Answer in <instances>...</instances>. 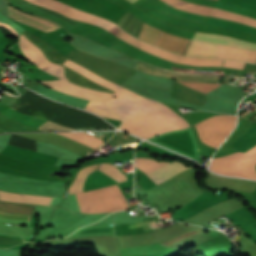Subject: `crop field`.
I'll use <instances>...</instances> for the list:
<instances>
[{"label":"crop field","instance_id":"crop-field-1","mask_svg":"<svg viewBox=\"0 0 256 256\" xmlns=\"http://www.w3.org/2000/svg\"><path fill=\"white\" fill-rule=\"evenodd\" d=\"M0 26H4L5 28L10 30L17 37L20 35L8 24H4V23L0 22ZM64 65L77 71L78 73L86 76L88 79H90L98 84H101V85H103V86H105V87L125 96V97H128L130 99L141 97V96H139L121 86H118L110 81H107V80L93 74L89 70L81 67L80 65H78L68 59L66 60ZM123 96H120V97L106 103L107 107L112 109L114 112H116L118 115H120L123 118V121L133 118V117L143 115L147 112L156 111V110L163 109V108H168L167 106H165L164 104H162L160 102L150 100V99H147L144 97L130 100Z\"/></svg>","mask_w":256,"mask_h":256},{"label":"crop field","instance_id":"crop-field-2","mask_svg":"<svg viewBox=\"0 0 256 256\" xmlns=\"http://www.w3.org/2000/svg\"><path fill=\"white\" fill-rule=\"evenodd\" d=\"M244 153H235L225 157L213 159L210 163V170L221 174L230 175ZM256 146L247 150L231 175L256 179Z\"/></svg>","mask_w":256,"mask_h":256},{"label":"crop field","instance_id":"crop-field-3","mask_svg":"<svg viewBox=\"0 0 256 256\" xmlns=\"http://www.w3.org/2000/svg\"><path fill=\"white\" fill-rule=\"evenodd\" d=\"M199 230H193L187 233H184L166 243H162L164 245L170 244L182 237H185L187 235H190L192 233H195ZM210 239L209 237L205 236L201 232H197L195 234H192L190 236H187L185 238H182L170 245H167L175 250H180L186 246L198 244L202 241ZM162 244H149V245H141V246H133V247H123L119 248L120 256H141V255H148V254H156V253H163V252H171L174 251Z\"/></svg>","mask_w":256,"mask_h":256},{"label":"crop field","instance_id":"crop-field-4","mask_svg":"<svg viewBox=\"0 0 256 256\" xmlns=\"http://www.w3.org/2000/svg\"><path fill=\"white\" fill-rule=\"evenodd\" d=\"M29 2L35 3L37 5L46 7L48 9L57 11L59 13H62L72 19L83 21L89 23L91 19L94 17L93 15L87 14L85 12H82L80 10L71 8L63 3H60L55 0H27ZM93 25L100 26L114 34L115 36H118L120 32V27L117 25L103 19L100 17L95 16L93 20L90 22Z\"/></svg>","mask_w":256,"mask_h":256},{"label":"crop field","instance_id":"crop-field-5","mask_svg":"<svg viewBox=\"0 0 256 256\" xmlns=\"http://www.w3.org/2000/svg\"><path fill=\"white\" fill-rule=\"evenodd\" d=\"M160 32V30L154 27L143 24L139 39L154 45L159 37ZM188 42L189 39L175 37L162 31L155 46L181 55Z\"/></svg>","mask_w":256,"mask_h":256},{"label":"crop field","instance_id":"crop-field-6","mask_svg":"<svg viewBox=\"0 0 256 256\" xmlns=\"http://www.w3.org/2000/svg\"><path fill=\"white\" fill-rule=\"evenodd\" d=\"M121 31H123V30H121ZM123 32L125 34H127L129 37H131V38H133L135 40H138V39L134 38L133 36H131L130 34L126 33L125 31H123ZM123 32L120 33L118 38H120V39H122V40H124V41H126V42H128V43H130V44H132V45H134V46H136L138 48H140V49H143V50H145V51H147L149 53H152V54H154V55H156L158 57H161V58H164V59L176 62V63H182V64H188V65H194V66H220V67L222 66V62L194 61V60H211V61H222V60L176 56V55H173V54H171L169 52H166V51H164V50H162V49H160L158 47L150 45V46H152V47H154L156 49H159V50H161L163 52H166V53H168V54H170L172 56H176V57H180V58H186V59H194V60H186V59H179V58L172 57V56H170L168 54H165V53H163V52H161L159 50H156V49H154L152 47L147 46L149 44L145 45L146 43L143 44L144 42L140 43V42H142L140 40H138V41H140V42H138V41H135V40L129 38Z\"/></svg>","mask_w":256,"mask_h":256},{"label":"crop field","instance_id":"crop-field-7","mask_svg":"<svg viewBox=\"0 0 256 256\" xmlns=\"http://www.w3.org/2000/svg\"><path fill=\"white\" fill-rule=\"evenodd\" d=\"M19 47L25 53L31 63L37 65L40 69L48 73L66 80L63 76V68L48 61L43 53L38 49V47L33 45L27 38L22 35L19 37Z\"/></svg>","mask_w":256,"mask_h":256},{"label":"crop field","instance_id":"crop-field-8","mask_svg":"<svg viewBox=\"0 0 256 256\" xmlns=\"http://www.w3.org/2000/svg\"><path fill=\"white\" fill-rule=\"evenodd\" d=\"M8 17L19 22L28 24L36 29L44 32H50L52 30L58 29L60 26L43 18H38L31 16L28 13L18 11L10 6H8Z\"/></svg>","mask_w":256,"mask_h":256},{"label":"crop field","instance_id":"crop-field-9","mask_svg":"<svg viewBox=\"0 0 256 256\" xmlns=\"http://www.w3.org/2000/svg\"><path fill=\"white\" fill-rule=\"evenodd\" d=\"M81 212H107L96 190L76 194Z\"/></svg>","mask_w":256,"mask_h":256},{"label":"crop field","instance_id":"crop-field-10","mask_svg":"<svg viewBox=\"0 0 256 256\" xmlns=\"http://www.w3.org/2000/svg\"><path fill=\"white\" fill-rule=\"evenodd\" d=\"M192 39L193 40H203V41H207V42H211V43H215V44L233 46V47L246 49V50H256V44L239 41V40L232 39V38L225 37V36L195 32Z\"/></svg>","mask_w":256,"mask_h":256},{"label":"crop field","instance_id":"crop-field-11","mask_svg":"<svg viewBox=\"0 0 256 256\" xmlns=\"http://www.w3.org/2000/svg\"><path fill=\"white\" fill-rule=\"evenodd\" d=\"M140 64L152 67V68H156L153 67L149 64H145V63H141ZM138 64L135 67V70L141 71V72H145V73H149V74H153V75H157V76H163V77H168V78H172V79H178V80H184V81H193V82H203L204 79H211V80H217V77H205V76H189V75H179V74H185V73H179V74H170V73H165L163 71L160 70H164V69H160V68H156V69H160V70H156V69H152L143 65ZM166 72H171V73H178V72H172V71H168V70H164Z\"/></svg>","mask_w":256,"mask_h":256},{"label":"crop field","instance_id":"crop-field-12","mask_svg":"<svg viewBox=\"0 0 256 256\" xmlns=\"http://www.w3.org/2000/svg\"><path fill=\"white\" fill-rule=\"evenodd\" d=\"M185 169H187V167H185L183 164L178 163V162H172V163H169V164L153 171L152 173H150L147 176L150 179H152L156 184H158V183H161V182L169 179L174 174H176L180 171H183Z\"/></svg>","mask_w":256,"mask_h":256},{"label":"crop field","instance_id":"crop-field-13","mask_svg":"<svg viewBox=\"0 0 256 256\" xmlns=\"http://www.w3.org/2000/svg\"><path fill=\"white\" fill-rule=\"evenodd\" d=\"M52 197H41L33 195H24V194H13L0 191V200L1 201H10V202H26V203H37L49 205Z\"/></svg>","mask_w":256,"mask_h":256},{"label":"crop field","instance_id":"crop-field-14","mask_svg":"<svg viewBox=\"0 0 256 256\" xmlns=\"http://www.w3.org/2000/svg\"><path fill=\"white\" fill-rule=\"evenodd\" d=\"M162 1L166 2L167 4L173 6L177 9H181V10L193 12V13H198V14H202V15H206V16H208L210 14V11L212 9V8H208V7L193 5V4L187 3L183 0H162Z\"/></svg>","mask_w":256,"mask_h":256},{"label":"crop field","instance_id":"crop-field-15","mask_svg":"<svg viewBox=\"0 0 256 256\" xmlns=\"http://www.w3.org/2000/svg\"><path fill=\"white\" fill-rule=\"evenodd\" d=\"M65 137L71 138L77 142H80L88 147L97 148L103 141L85 133V132H75V133H57Z\"/></svg>","mask_w":256,"mask_h":256},{"label":"crop field","instance_id":"crop-field-16","mask_svg":"<svg viewBox=\"0 0 256 256\" xmlns=\"http://www.w3.org/2000/svg\"><path fill=\"white\" fill-rule=\"evenodd\" d=\"M206 23L216 25V26H220V27L232 28V29H237V30H241V31L256 34V28L249 27V26H246V25L240 24V23H235V22L222 20V19H216V18L208 17Z\"/></svg>","mask_w":256,"mask_h":256},{"label":"crop field","instance_id":"crop-field-17","mask_svg":"<svg viewBox=\"0 0 256 256\" xmlns=\"http://www.w3.org/2000/svg\"><path fill=\"white\" fill-rule=\"evenodd\" d=\"M210 16L223 18V19L234 20V21H238V22L244 23V24L249 25V26L256 27V21H254V20L248 19V18H246L244 16H241V15L233 14V13L218 10V9H214L212 11V13L210 14Z\"/></svg>","mask_w":256,"mask_h":256},{"label":"crop field","instance_id":"crop-field-18","mask_svg":"<svg viewBox=\"0 0 256 256\" xmlns=\"http://www.w3.org/2000/svg\"><path fill=\"white\" fill-rule=\"evenodd\" d=\"M97 166H98V164L94 165V166L87 167V168L82 169L81 171H79L74 183L69 188L70 194L82 192V187H83V183H84L85 178L87 177V175L89 173L96 170Z\"/></svg>","mask_w":256,"mask_h":256},{"label":"crop field","instance_id":"crop-field-19","mask_svg":"<svg viewBox=\"0 0 256 256\" xmlns=\"http://www.w3.org/2000/svg\"><path fill=\"white\" fill-rule=\"evenodd\" d=\"M166 163L168 162H158L156 160L151 159L135 158V166L139 168L142 172H144L146 175Z\"/></svg>","mask_w":256,"mask_h":256},{"label":"crop field","instance_id":"crop-field-20","mask_svg":"<svg viewBox=\"0 0 256 256\" xmlns=\"http://www.w3.org/2000/svg\"><path fill=\"white\" fill-rule=\"evenodd\" d=\"M34 207L35 205L0 202V210H3V211L32 214Z\"/></svg>","mask_w":256,"mask_h":256},{"label":"crop field","instance_id":"crop-field-21","mask_svg":"<svg viewBox=\"0 0 256 256\" xmlns=\"http://www.w3.org/2000/svg\"><path fill=\"white\" fill-rule=\"evenodd\" d=\"M0 216L5 218H10V219H18V220H29V217H30V215H26V214L6 213L1 211H0ZM10 219L0 218V221L6 222V223H14V224L29 226V221H18V220H10Z\"/></svg>","mask_w":256,"mask_h":256},{"label":"crop field","instance_id":"crop-field-22","mask_svg":"<svg viewBox=\"0 0 256 256\" xmlns=\"http://www.w3.org/2000/svg\"><path fill=\"white\" fill-rule=\"evenodd\" d=\"M99 170L109 175L118 182L126 180V176L123 175L116 166L111 164H101Z\"/></svg>","mask_w":256,"mask_h":256},{"label":"crop field","instance_id":"crop-field-23","mask_svg":"<svg viewBox=\"0 0 256 256\" xmlns=\"http://www.w3.org/2000/svg\"><path fill=\"white\" fill-rule=\"evenodd\" d=\"M179 82H181L182 84L187 85L193 89H196V90H199V91H202L205 93H207V92L213 90L214 88L218 87L219 85H221V84L191 83V82H182V81H179Z\"/></svg>","mask_w":256,"mask_h":256},{"label":"crop field","instance_id":"crop-field-24","mask_svg":"<svg viewBox=\"0 0 256 256\" xmlns=\"http://www.w3.org/2000/svg\"><path fill=\"white\" fill-rule=\"evenodd\" d=\"M39 129H43V130H73V129H69L60 125H57L55 123L52 122H45L44 124H42Z\"/></svg>","mask_w":256,"mask_h":256},{"label":"crop field","instance_id":"crop-field-25","mask_svg":"<svg viewBox=\"0 0 256 256\" xmlns=\"http://www.w3.org/2000/svg\"><path fill=\"white\" fill-rule=\"evenodd\" d=\"M245 63L238 61L224 60L222 67L238 68L242 69Z\"/></svg>","mask_w":256,"mask_h":256},{"label":"crop field","instance_id":"crop-field-26","mask_svg":"<svg viewBox=\"0 0 256 256\" xmlns=\"http://www.w3.org/2000/svg\"><path fill=\"white\" fill-rule=\"evenodd\" d=\"M4 60H5V59H4V56L0 54V62L3 63Z\"/></svg>","mask_w":256,"mask_h":256},{"label":"crop field","instance_id":"crop-field-27","mask_svg":"<svg viewBox=\"0 0 256 256\" xmlns=\"http://www.w3.org/2000/svg\"><path fill=\"white\" fill-rule=\"evenodd\" d=\"M130 2L134 3L136 0H129Z\"/></svg>","mask_w":256,"mask_h":256}]
</instances>
